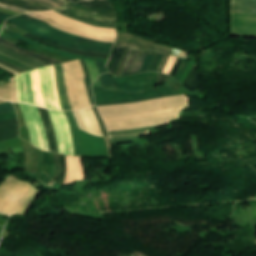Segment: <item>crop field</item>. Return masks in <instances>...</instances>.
I'll return each instance as SVG.
<instances>
[{
	"mask_svg": "<svg viewBox=\"0 0 256 256\" xmlns=\"http://www.w3.org/2000/svg\"><path fill=\"white\" fill-rule=\"evenodd\" d=\"M15 79L18 102L63 110L55 85L53 65L19 74Z\"/></svg>",
	"mask_w": 256,
	"mask_h": 256,
	"instance_id": "1",
	"label": "crop field"
},
{
	"mask_svg": "<svg viewBox=\"0 0 256 256\" xmlns=\"http://www.w3.org/2000/svg\"><path fill=\"white\" fill-rule=\"evenodd\" d=\"M7 22L38 37L78 50L110 54L113 45V43H105L67 34L40 20H36L25 15L8 19Z\"/></svg>",
	"mask_w": 256,
	"mask_h": 256,
	"instance_id": "2",
	"label": "crop field"
},
{
	"mask_svg": "<svg viewBox=\"0 0 256 256\" xmlns=\"http://www.w3.org/2000/svg\"><path fill=\"white\" fill-rule=\"evenodd\" d=\"M155 72L140 73L128 77H114L115 89L99 88L93 86L94 95L96 103L107 102V101H117V100H126L132 98H139L163 93L174 92L173 89L162 87L155 89V82L157 78ZM116 88L128 90V91H137L139 92L128 93L124 91L116 90Z\"/></svg>",
	"mask_w": 256,
	"mask_h": 256,
	"instance_id": "3",
	"label": "crop field"
},
{
	"mask_svg": "<svg viewBox=\"0 0 256 256\" xmlns=\"http://www.w3.org/2000/svg\"><path fill=\"white\" fill-rule=\"evenodd\" d=\"M65 7L56 10L87 24L114 28L116 14L109 0H67Z\"/></svg>",
	"mask_w": 256,
	"mask_h": 256,
	"instance_id": "4",
	"label": "crop field"
},
{
	"mask_svg": "<svg viewBox=\"0 0 256 256\" xmlns=\"http://www.w3.org/2000/svg\"><path fill=\"white\" fill-rule=\"evenodd\" d=\"M39 192L28 182L8 177L0 185V213L24 214Z\"/></svg>",
	"mask_w": 256,
	"mask_h": 256,
	"instance_id": "5",
	"label": "crop field"
},
{
	"mask_svg": "<svg viewBox=\"0 0 256 256\" xmlns=\"http://www.w3.org/2000/svg\"><path fill=\"white\" fill-rule=\"evenodd\" d=\"M181 109L182 107H178L169 110H160L147 114L119 116L106 118L103 120L106 124L107 131L130 130L168 123L170 120L179 118Z\"/></svg>",
	"mask_w": 256,
	"mask_h": 256,
	"instance_id": "6",
	"label": "crop field"
},
{
	"mask_svg": "<svg viewBox=\"0 0 256 256\" xmlns=\"http://www.w3.org/2000/svg\"><path fill=\"white\" fill-rule=\"evenodd\" d=\"M185 105H189L188 97L185 95H180L133 104L102 106L97 108L101 114V117L105 118L119 115L141 114Z\"/></svg>",
	"mask_w": 256,
	"mask_h": 256,
	"instance_id": "7",
	"label": "crop field"
},
{
	"mask_svg": "<svg viewBox=\"0 0 256 256\" xmlns=\"http://www.w3.org/2000/svg\"><path fill=\"white\" fill-rule=\"evenodd\" d=\"M65 86L72 109L90 106L84 83V70L79 60L63 63Z\"/></svg>",
	"mask_w": 256,
	"mask_h": 256,
	"instance_id": "8",
	"label": "crop field"
},
{
	"mask_svg": "<svg viewBox=\"0 0 256 256\" xmlns=\"http://www.w3.org/2000/svg\"><path fill=\"white\" fill-rule=\"evenodd\" d=\"M232 8L256 10V0H232ZM232 9L231 35L256 37V11Z\"/></svg>",
	"mask_w": 256,
	"mask_h": 256,
	"instance_id": "9",
	"label": "crop field"
},
{
	"mask_svg": "<svg viewBox=\"0 0 256 256\" xmlns=\"http://www.w3.org/2000/svg\"><path fill=\"white\" fill-rule=\"evenodd\" d=\"M116 43H125L128 45H133L135 47H155V48H165L168 50H172L173 48H170L168 46L156 43V42H152V41H148L142 38H139L137 36L128 34V33H117V41ZM128 45H124V44H115V46H123V47H127V48H131L134 50H154V51H161V52H165L166 54H161V53H156V55L154 56L150 66L148 67L147 71H158V72H162L165 65L167 64L172 51H168L165 49H155V48H135L133 46H128ZM114 46V45H113Z\"/></svg>",
	"mask_w": 256,
	"mask_h": 256,
	"instance_id": "10",
	"label": "crop field"
},
{
	"mask_svg": "<svg viewBox=\"0 0 256 256\" xmlns=\"http://www.w3.org/2000/svg\"><path fill=\"white\" fill-rule=\"evenodd\" d=\"M20 104V103H19ZM23 116L28 126L31 141L37 148L49 151L46 134L41 116L36 106L20 104ZM19 106V107H20Z\"/></svg>",
	"mask_w": 256,
	"mask_h": 256,
	"instance_id": "11",
	"label": "crop field"
},
{
	"mask_svg": "<svg viewBox=\"0 0 256 256\" xmlns=\"http://www.w3.org/2000/svg\"><path fill=\"white\" fill-rule=\"evenodd\" d=\"M0 45L5 47V48H7V49H10V50H12L14 52H17V53H19V54H21L23 56H26V57H28V58H30V59H32V60H34V61H36V62H38V63H40L42 65H44V66H48V65L56 64V63H63V62L58 61V60H54V59H51V58H47V57L35 54V53L31 52V51H28V50H26V49H24V48H22V47H20V46H18L16 44H14L12 42H9L7 40H4L2 38H0ZM1 46H0V53L1 54H4V55H6V56H8L10 58L19 60V61L23 62L24 64H26V65L34 68V69L35 68H39V67H43V66H41V65L31 61V60H29V59L19 55V54H16V53H14V52H12L10 50H7V49H5V48H3Z\"/></svg>",
	"mask_w": 256,
	"mask_h": 256,
	"instance_id": "12",
	"label": "crop field"
},
{
	"mask_svg": "<svg viewBox=\"0 0 256 256\" xmlns=\"http://www.w3.org/2000/svg\"><path fill=\"white\" fill-rule=\"evenodd\" d=\"M49 113L53 122L59 153L74 156L71 132L64 112L49 111Z\"/></svg>",
	"mask_w": 256,
	"mask_h": 256,
	"instance_id": "13",
	"label": "crop field"
},
{
	"mask_svg": "<svg viewBox=\"0 0 256 256\" xmlns=\"http://www.w3.org/2000/svg\"><path fill=\"white\" fill-rule=\"evenodd\" d=\"M35 13L45 16L59 24L65 25L67 27H70V28H73V29H76V30H79L82 32L99 35V36L115 38V29L95 28V27L77 22L70 18L64 17L62 15H59L53 11L35 12Z\"/></svg>",
	"mask_w": 256,
	"mask_h": 256,
	"instance_id": "14",
	"label": "crop field"
},
{
	"mask_svg": "<svg viewBox=\"0 0 256 256\" xmlns=\"http://www.w3.org/2000/svg\"><path fill=\"white\" fill-rule=\"evenodd\" d=\"M155 52L129 50L120 76L146 71Z\"/></svg>",
	"mask_w": 256,
	"mask_h": 256,
	"instance_id": "15",
	"label": "crop field"
},
{
	"mask_svg": "<svg viewBox=\"0 0 256 256\" xmlns=\"http://www.w3.org/2000/svg\"><path fill=\"white\" fill-rule=\"evenodd\" d=\"M73 112L81 129L98 136H104L91 107Z\"/></svg>",
	"mask_w": 256,
	"mask_h": 256,
	"instance_id": "16",
	"label": "crop field"
},
{
	"mask_svg": "<svg viewBox=\"0 0 256 256\" xmlns=\"http://www.w3.org/2000/svg\"><path fill=\"white\" fill-rule=\"evenodd\" d=\"M3 31L18 38L19 40L31 45V46H34L36 48H39V49H42V50H45V51H48V52H51V53H54V54H58V55H62V56H65L67 58H70L72 60H77V59H91V60H101V61H105V62H108V60H105V59H99V58H92V57H84V56H77V55H73V54H70V53H67V52H64V51H60V50H57V49H52V48H48L42 44H39L35 41H32L26 37H23V36H20L6 28L3 27Z\"/></svg>",
	"mask_w": 256,
	"mask_h": 256,
	"instance_id": "17",
	"label": "crop field"
},
{
	"mask_svg": "<svg viewBox=\"0 0 256 256\" xmlns=\"http://www.w3.org/2000/svg\"><path fill=\"white\" fill-rule=\"evenodd\" d=\"M67 157V173L64 184H72L74 180H84L81 157Z\"/></svg>",
	"mask_w": 256,
	"mask_h": 256,
	"instance_id": "18",
	"label": "crop field"
},
{
	"mask_svg": "<svg viewBox=\"0 0 256 256\" xmlns=\"http://www.w3.org/2000/svg\"><path fill=\"white\" fill-rule=\"evenodd\" d=\"M19 136L18 120L0 122V141L13 139Z\"/></svg>",
	"mask_w": 256,
	"mask_h": 256,
	"instance_id": "19",
	"label": "crop field"
},
{
	"mask_svg": "<svg viewBox=\"0 0 256 256\" xmlns=\"http://www.w3.org/2000/svg\"><path fill=\"white\" fill-rule=\"evenodd\" d=\"M39 111L41 113V116H42V119H43V122H44L45 130H46V134H47V138H48V142H49L50 151L58 153L55 134H54L52 122H51L50 116L48 114V111L45 110V109H41V108H39Z\"/></svg>",
	"mask_w": 256,
	"mask_h": 256,
	"instance_id": "20",
	"label": "crop field"
},
{
	"mask_svg": "<svg viewBox=\"0 0 256 256\" xmlns=\"http://www.w3.org/2000/svg\"><path fill=\"white\" fill-rule=\"evenodd\" d=\"M27 15L33 17V18H37V19H40L46 23H48L49 25L51 26H54L60 30H63L67 33H70V34H74V35H77V36H82V37H88V38H92V39H96V40H100V41H106V42H113L114 39H111V38H104V37H98V36H94V35H90V34H86V33H82V32H79V31H76V30H73V29H70V28H66V27H62V26H59L55 23H53L52 21L44 18V17H41L37 14H34L32 12L30 13H27Z\"/></svg>",
	"mask_w": 256,
	"mask_h": 256,
	"instance_id": "21",
	"label": "crop field"
},
{
	"mask_svg": "<svg viewBox=\"0 0 256 256\" xmlns=\"http://www.w3.org/2000/svg\"><path fill=\"white\" fill-rule=\"evenodd\" d=\"M65 114L69 120V124L72 131L74 149H75V156H83L82 149H81V141H80V133L78 125L74 119L72 111H65Z\"/></svg>",
	"mask_w": 256,
	"mask_h": 256,
	"instance_id": "22",
	"label": "crop field"
},
{
	"mask_svg": "<svg viewBox=\"0 0 256 256\" xmlns=\"http://www.w3.org/2000/svg\"><path fill=\"white\" fill-rule=\"evenodd\" d=\"M56 68V84L58 88V92L63 104L64 110H71L66 91L64 86V80H63V73H62V65H54Z\"/></svg>",
	"mask_w": 256,
	"mask_h": 256,
	"instance_id": "23",
	"label": "crop field"
},
{
	"mask_svg": "<svg viewBox=\"0 0 256 256\" xmlns=\"http://www.w3.org/2000/svg\"><path fill=\"white\" fill-rule=\"evenodd\" d=\"M26 160L25 171L36 173L38 170V156L36 148L29 147L23 148Z\"/></svg>",
	"mask_w": 256,
	"mask_h": 256,
	"instance_id": "24",
	"label": "crop field"
},
{
	"mask_svg": "<svg viewBox=\"0 0 256 256\" xmlns=\"http://www.w3.org/2000/svg\"><path fill=\"white\" fill-rule=\"evenodd\" d=\"M26 37H29L39 43H42V44H45V45H48V46H51V47H54V48H57V49H61V50H64V51H67V52H70V53H74V54H78V55H85V56H92V57H99V58H106L108 59L109 58V55H106V54H97V53H89V52H83V51H77V50H72V49H69V48H66V47H63V46H59V45H56V44H53V43H49V42H46L44 40H41L39 38H37L36 36L32 35V34H27V35H24Z\"/></svg>",
	"mask_w": 256,
	"mask_h": 256,
	"instance_id": "25",
	"label": "crop field"
},
{
	"mask_svg": "<svg viewBox=\"0 0 256 256\" xmlns=\"http://www.w3.org/2000/svg\"><path fill=\"white\" fill-rule=\"evenodd\" d=\"M0 2L13 5L29 11H48L51 10L45 6L36 5L23 0H0Z\"/></svg>",
	"mask_w": 256,
	"mask_h": 256,
	"instance_id": "26",
	"label": "crop field"
},
{
	"mask_svg": "<svg viewBox=\"0 0 256 256\" xmlns=\"http://www.w3.org/2000/svg\"><path fill=\"white\" fill-rule=\"evenodd\" d=\"M183 85L185 88L193 92H195L201 86V81L196 64L194 65L192 71L186 78Z\"/></svg>",
	"mask_w": 256,
	"mask_h": 256,
	"instance_id": "27",
	"label": "crop field"
},
{
	"mask_svg": "<svg viewBox=\"0 0 256 256\" xmlns=\"http://www.w3.org/2000/svg\"><path fill=\"white\" fill-rule=\"evenodd\" d=\"M42 154H43V163H44L43 170L51 174L50 177L52 178L55 171V162H54L53 154L45 152L43 150H42Z\"/></svg>",
	"mask_w": 256,
	"mask_h": 256,
	"instance_id": "28",
	"label": "crop field"
},
{
	"mask_svg": "<svg viewBox=\"0 0 256 256\" xmlns=\"http://www.w3.org/2000/svg\"><path fill=\"white\" fill-rule=\"evenodd\" d=\"M123 49L124 48H119V47H114L113 48V51H112V55H111V59L108 63V69L113 73L115 74V71H116V68H117V65L119 63V60H120V57H121V54L123 52Z\"/></svg>",
	"mask_w": 256,
	"mask_h": 256,
	"instance_id": "29",
	"label": "crop field"
},
{
	"mask_svg": "<svg viewBox=\"0 0 256 256\" xmlns=\"http://www.w3.org/2000/svg\"><path fill=\"white\" fill-rule=\"evenodd\" d=\"M34 3L42 4L48 6L52 9L59 8L65 5V0H27Z\"/></svg>",
	"mask_w": 256,
	"mask_h": 256,
	"instance_id": "30",
	"label": "crop field"
},
{
	"mask_svg": "<svg viewBox=\"0 0 256 256\" xmlns=\"http://www.w3.org/2000/svg\"><path fill=\"white\" fill-rule=\"evenodd\" d=\"M173 55L187 58V55H186L185 52H182V51H179V50H176V49L174 50ZM175 56H171V58H170L168 64L166 65L163 73H165V74L170 73V71H171V69H172V67H173V65H174V63L176 62V59H177V57H175Z\"/></svg>",
	"mask_w": 256,
	"mask_h": 256,
	"instance_id": "31",
	"label": "crop field"
},
{
	"mask_svg": "<svg viewBox=\"0 0 256 256\" xmlns=\"http://www.w3.org/2000/svg\"><path fill=\"white\" fill-rule=\"evenodd\" d=\"M58 157H59V163H60V174H59L57 184L62 185L64 176L66 173V158L65 156H62V155H58Z\"/></svg>",
	"mask_w": 256,
	"mask_h": 256,
	"instance_id": "32",
	"label": "crop field"
},
{
	"mask_svg": "<svg viewBox=\"0 0 256 256\" xmlns=\"http://www.w3.org/2000/svg\"><path fill=\"white\" fill-rule=\"evenodd\" d=\"M172 95H178V94H164V95L151 96V97L142 98V99H134V100H128V101H119V102H109V103H100V104H96V105L101 106V105H111V104H119V103H126V102H136V101H143V100H147V99L159 98V97H164V96H172Z\"/></svg>",
	"mask_w": 256,
	"mask_h": 256,
	"instance_id": "33",
	"label": "crop field"
},
{
	"mask_svg": "<svg viewBox=\"0 0 256 256\" xmlns=\"http://www.w3.org/2000/svg\"><path fill=\"white\" fill-rule=\"evenodd\" d=\"M10 90V83L0 86V98L10 100Z\"/></svg>",
	"mask_w": 256,
	"mask_h": 256,
	"instance_id": "34",
	"label": "crop field"
},
{
	"mask_svg": "<svg viewBox=\"0 0 256 256\" xmlns=\"http://www.w3.org/2000/svg\"><path fill=\"white\" fill-rule=\"evenodd\" d=\"M83 67H84V70L87 72L86 74V77H85V83H86V86L88 88V92H89V96H90V100H91V104L94 105V98H93V94H92V91H91V88H90V77H89V73L86 69V65H85V62L84 60H80Z\"/></svg>",
	"mask_w": 256,
	"mask_h": 256,
	"instance_id": "35",
	"label": "crop field"
},
{
	"mask_svg": "<svg viewBox=\"0 0 256 256\" xmlns=\"http://www.w3.org/2000/svg\"><path fill=\"white\" fill-rule=\"evenodd\" d=\"M102 87H113L112 78L109 73L101 75Z\"/></svg>",
	"mask_w": 256,
	"mask_h": 256,
	"instance_id": "36",
	"label": "crop field"
},
{
	"mask_svg": "<svg viewBox=\"0 0 256 256\" xmlns=\"http://www.w3.org/2000/svg\"><path fill=\"white\" fill-rule=\"evenodd\" d=\"M149 133V130L146 131H140V132H135V133H124V134H118V135H110L111 138H116V137H129V136H135V135H146Z\"/></svg>",
	"mask_w": 256,
	"mask_h": 256,
	"instance_id": "37",
	"label": "crop field"
},
{
	"mask_svg": "<svg viewBox=\"0 0 256 256\" xmlns=\"http://www.w3.org/2000/svg\"><path fill=\"white\" fill-rule=\"evenodd\" d=\"M14 110H15V108H14L13 104L10 102L0 104V113L10 112V111H14Z\"/></svg>",
	"mask_w": 256,
	"mask_h": 256,
	"instance_id": "38",
	"label": "crop field"
},
{
	"mask_svg": "<svg viewBox=\"0 0 256 256\" xmlns=\"http://www.w3.org/2000/svg\"><path fill=\"white\" fill-rule=\"evenodd\" d=\"M0 58L3 59V60H6L8 62H11V63H13V64H15V65L25 69V70H31L32 69V68H30V67H28V66H26V65H24V64H22V63H20L18 61H16V60L10 59V58L5 57L3 55H0Z\"/></svg>",
	"mask_w": 256,
	"mask_h": 256,
	"instance_id": "39",
	"label": "crop field"
},
{
	"mask_svg": "<svg viewBox=\"0 0 256 256\" xmlns=\"http://www.w3.org/2000/svg\"><path fill=\"white\" fill-rule=\"evenodd\" d=\"M128 50L127 48L124 49V52L122 54V57H121V60H120V63H119V66L117 68V71H116V76H119L121 70H122V67L124 65V62H125V59H126V56H127V53H128Z\"/></svg>",
	"mask_w": 256,
	"mask_h": 256,
	"instance_id": "40",
	"label": "crop field"
},
{
	"mask_svg": "<svg viewBox=\"0 0 256 256\" xmlns=\"http://www.w3.org/2000/svg\"><path fill=\"white\" fill-rule=\"evenodd\" d=\"M54 157H55V160H56V173H55L53 179L50 180L49 184L47 185L48 188H51L53 182L55 181V179H56V177H57V175L59 173V163H58L57 154H54Z\"/></svg>",
	"mask_w": 256,
	"mask_h": 256,
	"instance_id": "41",
	"label": "crop field"
},
{
	"mask_svg": "<svg viewBox=\"0 0 256 256\" xmlns=\"http://www.w3.org/2000/svg\"><path fill=\"white\" fill-rule=\"evenodd\" d=\"M17 118L16 111L10 112V113H5V114H0V121L6 120V119H13Z\"/></svg>",
	"mask_w": 256,
	"mask_h": 256,
	"instance_id": "42",
	"label": "crop field"
},
{
	"mask_svg": "<svg viewBox=\"0 0 256 256\" xmlns=\"http://www.w3.org/2000/svg\"><path fill=\"white\" fill-rule=\"evenodd\" d=\"M49 180H50L49 175H47L45 172H42L40 178L37 181L41 182L43 185L46 186Z\"/></svg>",
	"mask_w": 256,
	"mask_h": 256,
	"instance_id": "43",
	"label": "crop field"
},
{
	"mask_svg": "<svg viewBox=\"0 0 256 256\" xmlns=\"http://www.w3.org/2000/svg\"><path fill=\"white\" fill-rule=\"evenodd\" d=\"M0 64H3V65H5V66H7V67H9V68H12V69H14V70H16V71H18V72H20V73H22V72L25 71V70H23V69H21V68L15 66V65H13V64H10V63L5 62V61H2V60H0Z\"/></svg>",
	"mask_w": 256,
	"mask_h": 256,
	"instance_id": "44",
	"label": "crop field"
},
{
	"mask_svg": "<svg viewBox=\"0 0 256 256\" xmlns=\"http://www.w3.org/2000/svg\"><path fill=\"white\" fill-rule=\"evenodd\" d=\"M0 7L8 9V10H12V11L20 12V13L26 12L25 10H22V9L13 7V6L5 5V4H2V3H0Z\"/></svg>",
	"mask_w": 256,
	"mask_h": 256,
	"instance_id": "45",
	"label": "crop field"
},
{
	"mask_svg": "<svg viewBox=\"0 0 256 256\" xmlns=\"http://www.w3.org/2000/svg\"><path fill=\"white\" fill-rule=\"evenodd\" d=\"M188 64H189L188 61L183 62L182 67H181L180 71L178 72V74L176 75L175 79L179 80L181 78V76L183 75Z\"/></svg>",
	"mask_w": 256,
	"mask_h": 256,
	"instance_id": "46",
	"label": "crop field"
},
{
	"mask_svg": "<svg viewBox=\"0 0 256 256\" xmlns=\"http://www.w3.org/2000/svg\"><path fill=\"white\" fill-rule=\"evenodd\" d=\"M182 62H183V60H180V59H177V62H176V64L174 65V68H173V70L171 71V73H170V75L171 76H175V74L177 73V71L179 70V68H180V66H181V64H182Z\"/></svg>",
	"mask_w": 256,
	"mask_h": 256,
	"instance_id": "47",
	"label": "crop field"
},
{
	"mask_svg": "<svg viewBox=\"0 0 256 256\" xmlns=\"http://www.w3.org/2000/svg\"><path fill=\"white\" fill-rule=\"evenodd\" d=\"M96 64H97V67L99 69V73L102 74L104 72H108L107 68H106V63L104 62H98V61H95Z\"/></svg>",
	"mask_w": 256,
	"mask_h": 256,
	"instance_id": "48",
	"label": "crop field"
},
{
	"mask_svg": "<svg viewBox=\"0 0 256 256\" xmlns=\"http://www.w3.org/2000/svg\"><path fill=\"white\" fill-rule=\"evenodd\" d=\"M11 85H12V101L17 102L16 100V84L14 78L11 79Z\"/></svg>",
	"mask_w": 256,
	"mask_h": 256,
	"instance_id": "49",
	"label": "crop field"
},
{
	"mask_svg": "<svg viewBox=\"0 0 256 256\" xmlns=\"http://www.w3.org/2000/svg\"><path fill=\"white\" fill-rule=\"evenodd\" d=\"M93 109H94V111H95V113H96V115H97L99 124H100V126H101V128H102V131H103L104 135H105V136H108L107 133H106V130H105V127H104V124H103V121H102L101 117L99 116V114H98L96 108L93 107Z\"/></svg>",
	"mask_w": 256,
	"mask_h": 256,
	"instance_id": "50",
	"label": "crop field"
},
{
	"mask_svg": "<svg viewBox=\"0 0 256 256\" xmlns=\"http://www.w3.org/2000/svg\"><path fill=\"white\" fill-rule=\"evenodd\" d=\"M169 76L163 75V74H158L157 82L156 83H166L168 80Z\"/></svg>",
	"mask_w": 256,
	"mask_h": 256,
	"instance_id": "51",
	"label": "crop field"
},
{
	"mask_svg": "<svg viewBox=\"0 0 256 256\" xmlns=\"http://www.w3.org/2000/svg\"><path fill=\"white\" fill-rule=\"evenodd\" d=\"M11 16H14V15H10V14H6V13H1L0 12V19L2 20H6L8 17H11Z\"/></svg>",
	"mask_w": 256,
	"mask_h": 256,
	"instance_id": "52",
	"label": "crop field"
},
{
	"mask_svg": "<svg viewBox=\"0 0 256 256\" xmlns=\"http://www.w3.org/2000/svg\"><path fill=\"white\" fill-rule=\"evenodd\" d=\"M0 67L6 69V70H8V71H10V72H12V73H14V74H16V75L19 74V73L15 72V71H13V70H11V69H9V68L3 66V65H0Z\"/></svg>",
	"mask_w": 256,
	"mask_h": 256,
	"instance_id": "53",
	"label": "crop field"
},
{
	"mask_svg": "<svg viewBox=\"0 0 256 256\" xmlns=\"http://www.w3.org/2000/svg\"><path fill=\"white\" fill-rule=\"evenodd\" d=\"M3 21L0 20V24L2 25Z\"/></svg>",
	"mask_w": 256,
	"mask_h": 256,
	"instance_id": "54",
	"label": "crop field"
},
{
	"mask_svg": "<svg viewBox=\"0 0 256 256\" xmlns=\"http://www.w3.org/2000/svg\"><path fill=\"white\" fill-rule=\"evenodd\" d=\"M2 102H5V101H1V100H0V103H2Z\"/></svg>",
	"mask_w": 256,
	"mask_h": 256,
	"instance_id": "55",
	"label": "crop field"
}]
</instances>
